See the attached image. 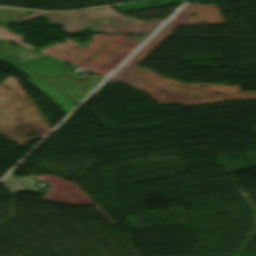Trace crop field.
I'll return each mask as SVG.
<instances>
[{
	"instance_id": "crop-field-1",
	"label": "crop field",
	"mask_w": 256,
	"mask_h": 256,
	"mask_svg": "<svg viewBox=\"0 0 256 256\" xmlns=\"http://www.w3.org/2000/svg\"><path fill=\"white\" fill-rule=\"evenodd\" d=\"M16 52V51H15ZM9 57L16 58L26 64L68 97L76 101L78 104L86 97L104 78L99 77L84 82H76L61 72L69 70L75 66L66 68L62 66L63 61L48 57L46 55L28 50L21 49Z\"/></svg>"
},
{
	"instance_id": "crop-field-2",
	"label": "crop field",
	"mask_w": 256,
	"mask_h": 256,
	"mask_svg": "<svg viewBox=\"0 0 256 256\" xmlns=\"http://www.w3.org/2000/svg\"><path fill=\"white\" fill-rule=\"evenodd\" d=\"M36 177L38 181L47 182L51 187L50 193L42 200L72 206L93 204L111 224L116 225L74 182L64 181L54 175Z\"/></svg>"
},
{
	"instance_id": "crop-field-3",
	"label": "crop field",
	"mask_w": 256,
	"mask_h": 256,
	"mask_svg": "<svg viewBox=\"0 0 256 256\" xmlns=\"http://www.w3.org/2000/svg\"><path fill=\"white\" fill-rule=\"evenodd\" d=\"M1 60L7 61L14 66H16L18 69H20L22 72L27 74L32 79L27 80L30 84H32L34 87H36L38 90H40L42 93H44L46 96L51 98L53 102L67 115L74 107V102L71 101L69 98H67L65 95H63L61 92H59L57 89H55L53 86H51L49 83L44 81L42 78H40L38 75H36L34 72H32L30 69L25 67L20 62L11 59V58H3Z\"/></svg>"
},
{
	"instance_id": "crop-field-4",
	"label": "crop field",
	"mask_w": 256,
	"mask_h": 256,
	"mask_svg": "<svg viewBox=\"0 0 256 256\" xmlns=\"http://www.w3.org/2000/svg\"><path fill=\"white\" fill-rule=\"evenodd\" d=\"M1 183H3L1 187L9 189V192L11 193L25 190L22 187V185L15 179L12 173L7 178H5Z\"/></svg>"
},
{
	"instance_id": "crop-field-5",
	"label": "crop field",
	"mask_w": 256,
	"mask_h": 256,
	"mask_svg": "<svg viewBox=\"0 0 256 256\" xmlns=\"http://www.w3.org/2000/svg\"><path fill=\"white\" fill-rule=\"evenodd\" d=\"M17 180L24 186L28 192L38 191L34 183L33 176L31 177H18Z\"/></svg>"
},
{
	"instance_id": "crop-field-6",
	"label": "crop field",
	"mask_w": 256,
	"mask_h": 256,
	"mask_svg": "<svg viewBox=\"0 0 256 256\" xmlns=\"http://www.w3.org/2000/svg\"><path fill=\"white\" fill-rule=\"evenodd\" d=\"M16 48L17 47H14V46L10 45L9 43L1 44L0 45V53L6 55V54L10 53L11 51H13Z\"/></svg>"
},
{
	"instance_id": "crop-field-7",
	"label": "crop field",
	"mask_w": 256,
	"mask_h": 256,
	"mask_svg": "<svg viewBox=\"0 0 256 256\" xmlns=\"http://www.w3.org/2000/svg\"><path fill=\"white\" fill-rule=\"evenodd\" d=\"M1 43H6V41L0 39V44H1Z\"/></svg>"
},
{
	"instance_id": "crop-field-8",
	"label": "crop field",
	"mask_w": 256,
	"mask_h": 256,
	"mask_svg": "<svg viewBox=\"0 0 256 256\" xmlns=\"http://www.w3.org/2000/svg\"><path fill=\"white\" fill-rule=\"evenodd\" d=\"M4 57L3 55H0V58Z\"/></svg>"
}]
</instances>
